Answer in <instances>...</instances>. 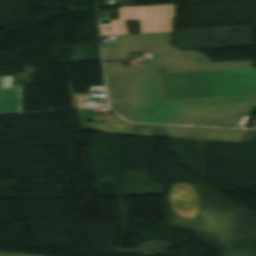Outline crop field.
Instances as JSON below:
<instances>
[{
  "mask_svg": "<svg viewBox=\"0 0 256 256\" xmlns=\"http://www.w3.org/2000/svg\"><path fill=\"white\" fill-rule=\"evenodd\" d=\"M119 20L101 25L102 36L128 34L126 21L140 20L141 33L173 31L175 5L118 8ZM107 28H111L109 31Z\"/></svg>",
  "mask_w": 256,
  "mask_h": 256,
  "instance_id": "4",
  "label": "crop field"
},
{
  "mask_svg": "<svg viewBox=\"0 0 256 256\" xmlns=\"http://www.w3.org/2000/svg\"><path fill=\"white\" fill-rule=\"evenodd\" d=\"M0 256H29V255H19V254L0 253Z\"/></svg>",
  "mask_w": 256,
  "mask_h": 256,
  "instance_id": "7",
  "label": "crop field"
},
{
  "mask_svg": "<svg viewBox=\"0 0 256 256\" xmlns=\"http://www.w3.org/2000/svg\"><path fill=\"white\" fill-rule=\"evenodd\" d=\"M110 105L128 121L245 128L256 95L164 102L160 73L106 76Z\"/></svg>",
  "mask_w": 256,
  "mask_h": 256,
  "instance_id": "1",
  "label": "crop field"
},
{
  "mask_svg": "<svg viewBox=\"0 0 256 256\" xmlns=\"http://www.w3.org/2000/svg\"><path fill=\"white\" fill-rule=\"evenodd\" d=\"M87 131L240 142L246 131L130 123H83Z\"/></svg>",
  "mask_w": 256,
  "mask_h": 256,
  "instance_id": "3",
  "label": "crop field"
},
{
  "mask_svg": "<svg viewBox=\"0 0 256 256\" xmlns=\"http://www.w3.org/2000/svg\"><path fill=\"white\" fill-rule=\"evenodd\" d=\"M12 83L13 76H0V113L22 112L23 85Z\"/></svg>",
  "mask_w": 256,
  "mask_h": 256,
  "instance_id": "5",
  "label": "crop field"
},
{
  "mask_svg": "<svg viewBox=\"0 0 256 256\" xmlns=\"http://www.w3.org/2000/svg\"><path fill=\"white\" fill-rule=\"evenodd\" d=\"M121 36H128V35H119V36H116V37H121Z\"/></svg>",
  "mask_w": 256,
  "mask_h": 256,
  "instance_id": "8",
  "label": "crop field"
},
{
  "mask_svg": "<svg viewBox=\"0 0 256 256\" xmlns=\"http://www.w3.org/2000/svg\"><path fill=\"white\" fill-rule=\"evenodd\" d=\"M171 36L172 32H167L116 38L118 49H103L105 62L128 61L130 53L149 52L155 53L156 60L148 61L147 67L105 64L106 75L254 67L253 61L212 63L196 51L177 52Z\"/></svg>",
  "mask_w": 256,
  "mask_h": 256,
  "instance_id": "2",
  "label": "crop field"
},
{
  "mask_svg": "<svg viewBox=\"0 0 256 256\" xmlns=\"http://www.w3.org/2000/svg\"><path fill=\"white\" fill-rule=\"evenodd\" d=\"M83 120H92L94 122H124L118 116H109V117H99L98 112L85 109L79 110Z\"/></svg>",
  "mask_w": 256,
  "mask_h": 256,
  "instance_id": "6",
  "label": "crop field"
}]
</instances>
